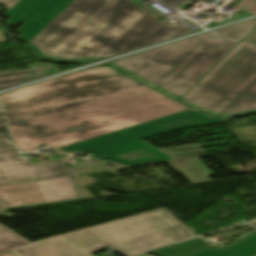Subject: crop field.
<instances>
[{"instance_id":"crop-field-1","label":"crop field","mask_w":256,"mask_h":256,"mask_svg":"<svg viewBox=\"0 0 256 256\" xmlns=\"http://www.w3.org/2000/svg\"><path fill=\"white\" fill-rule=\"evenodd\" d=\"M20 151L41 144L131 166L177 161L140 141L224 122L175 102L109 67H94L0 95Z\"/></svg>"},{"instance_id":"crop-field-14","label":"crop field","mask_w":256,"mask_h":256,"mask_svg":"<svg viewBox=\"0 0 256 256\" xmlns=\"http://www.w3.org/2000/svg\"><path fill=\"white\" fill-rule=\"evenodd\" d=\"M200 147H202L201 144H198V145L163 149L162 151H164L180 160H185V159L204 157L202 149H200ZM183 155H186V157H183Z\"/></svg>"},{"instance_id":"crop-field-22","label":"crop field","mask_w":256,"mask_h":256,"mask_svg":"<svg viewBox=\"0 0 256 256\" xmlns=\"http://www.w3.org/2000/svg\"><path fill=\"white\" fill-rule=\"evenodd\" d=\"M0 256H15V255H13V254L7 252V253H4V254H2V255H0Z\"/></svg>"},{"instance_id":"crop-field-19","label":"crop field","mask_w":256,"mask_h":256,"mask_svg":"<svg viewBox=\"0 0 256 256\" xmlns=\"http://www.w3.org/2000/svg\"><path fill=\"white\" fill-rule=\"evenodd\" d=\"M18 0H0V3L4 5L5 8L9 9L13 6Z\"/></svg>"},{"instance_id":"crop-field-2","label":"crop field","mask_w":256,"mask_h":256,"mask_svg":"<svg viewBox=\"0 0 256 256\" xmlns=\"http://www.w3.org/2000/svg\"><path fill=\"white\" fill-rule=\"evenodd\" d=\"M137 7L128 0H73L30 42L47 56L105 58L191 32Z\"/></svg>"},{"instance_id":"crop-field-20","label":"crop field","mask_w":256,"mask_h":256,"mask_svg":"<svg viewBox=\"0 0 256 256\" xmlns=\"http://www.w3.org/2000/svg\"><path fill=\"white\" fill-rule=\"evenodd\" d=\"M162 1H164L165 3L175 8L178 5H180L184 0H162Z\"/></svg>"},{"instance_id":"crop-field-10","label":"crop field","mask_w":256,"mask_h":256,"mask_svg":"<svg viewBox=\"0 0 256 256\" xmlns=\"http://www.w3.org/2000/svg\"><path fill=\"white\" fill-rule=\"evenodd\" d=\"M168 164L174 170L181 172L192 185L211 181L208 177L212 174L198 159L170 162Z\"/></svg>"},{"instance_id":"crop-field-8","label":"crop field","mask_w":256,"mask_h":256,"mask_svg":"<svg viewBox=\"0 0 256 256\" xmlns=\"http://www.w3.org/2000/svg\"><path fill=\"white\" fill-rule=\"evenodd\" d=\"M70 1L21 0L5 14L11 16L5 23L16 25L20 22H26L18 32L22 33L19 39L28 42Z\"/></svg>"},{"instance_id":"crop-field-11","label":"crop field","mask_w":256,"mask_h":256,"mask_svg":"<svg viewBox=\"0 0 256 256\" xmlns=\"http://www.w3.org/2000/svg\"><path fill=\"white\" fill-rule=\"evenodd\" d=\"M51 67L53 69L51 71L47 72V73H43L41 75L33 76V77H26V78H19V79H11V80L0 81V85L30 81V80H34V79H37V78H40V77L51 75V74H54V73H57V72H61V70L59 69V67L57 65L51 66ZM51 67L34 69V70H28V71H21V72H13V73L0 74V79L8 78V77H16V76H25V75L38 74L40 72L48 70ZM14 85H16V84H14ZM10 86H13V85L2 86V87H0V89L6 88V87H10Z\"/></svg>"},{"instance_id":"crop-field-16","label":"crop field","mask_w":256,"mask_h":256,"mask_svg":"<svg viewBox=\"0 0 256 256\" xmlns=\"http://www.w3.org/2000/svg\"><path fill=\"white\" fill-rule=\"evenodd\" d=\"M244 6L248 8H244ZM237 9L255 14L256 13V1L255 0H242L235 6Z\"/></svg>"},{"instance_id":"crop-field-24","label":"crop field","mask_w":256,"mask_h":256,"mask_svg":"<svg viewBox=\"0 0 256 256\" xmlns=\"http://www.w3.org/2000/svg\"><path fill=\"white\" fill-rule=\"evenodd\" d=\"M250 225H253V226H256V221L255 222H252V223H248Z\"/></svg>"},{"instance_id":"crop-field-12","label":"crop field","mask_w":256,"mask_h":256,"mask_svg":"<svg viewBox=\"0 0 256 256\" xmlns=\"http://www.w3.org/2000/svg\"><path fill=\"white\" fill-rule=\"evenodd\" d=\"M256 26V19L225 27L220 30L214 31L217 35L240 41L253 27Z\"/></svg>"},{"instance_id":"crop-field-13","label":"crop field","mask_w":256,"mask_h":256,"mask_svg":"<svg viewBox=\"0 0 256 256\" xmlns=\"http://www.w3.org/2000/svg\"><path fill=\"white\" fill-rule=\"evenodd\" d=\"M29 244L14 233L0 226V254Z\"/></svg>"},{"instance_id":"crop-field-3","label":"crop field","mask_w":256,"mask_h":256,"mask_svg":"<svg viewBox=\"0 0 256 256\" xmlns=\"http://www.w3.org/2000/svg\"><path fill=\"white\" fill-rule=\"evenodd\" d=\"M195 237L165 209H157L10 251L16 256H92L109 247L132 256L146 249Z\"/></svg>"},{"instance_id":"crop-field-5","label":"crop field","mask_w":256,"mask_h":256,"mask_svg":"<svg viewBox=\"0 0 256 256\" xmlns=\"http://www.w3.org/2000/svg\"><path fill=\"white\" fill-rule=\"evenodd\" d=\"M182 99L222 114L256 109V46L239 42Z\"/></svg>"},{"instance_id":"crop-field-9","label":"crop field","mask_w":256,"mask_h":256,"mask_svg":"<svg viewBox=\"0 0 256 256\" xmlns=\"http://www.w3.org/2000/svg\"><path fill=\"white\" fill-rule=\"evenodd\" d=\"M148 253L160 256H254L256 231L223 249L214 248L197 238Z\"/></svg>"},{"instance_id":"crop-field-18","label":"crop field","mask_w":256,"mask_h":256,"mask_svg":"<svg viewBox=\"0 0 256 256\" xmlns=\"http://www.w3.org/2000/svg\"><path fill=\"white\" fill-rule=\"evenodd\" d=\"M241 42L249 43L256 45V27L252 29L242 40Z\"/></svg>"},{"instance_id":"crop-field-25","label":"crop field","mask_w":256,"mask_h":256,"mask_svg":"<svg viewBox=\"0 0 256 256\" xmlns=\"http://www.w3.org/2000/svg\"><path fill=\"white\" fill-rule=\"evenodd\" d=\"M0 211H4L2 208H0Z\"/></svg>"},{"instance_id":"crop-field-15","label":"crop field","mask_w":256,"mask_h":256,"mask_svg":"<svg viewBox=\"0 0 256 256\" xmlns=\"http://www.w3.org/2000/svg\"><path fill=\"white\" fill-rule=\"evenodd\" d=\"M110 65H112V66H114V67H116V68H118V69H120V70H122V71H124V72H126V73H128V74H130V75H131L132 77H134L135 79H137V80H139V81H141V82H143V83H145V84H147V85H149V86H151V87H153V88H155V89H157V90L163 92L164 94H166V95H168V96H170V97H172V98H174V99H177V100H180V101H182V102H184V103H187V104H189V105H192V104H190V103H188V102H186V101H184V100H182V99H180V98H178V97H176V96H174V95L168 93L167 91H165V90H163V89H161V88H159V87H157V86H155V85H153V84L147 82L146 80H144V79H142V78H140V77H138V76H136V75H134V74H132V73H130V72H128V71H126V70H124V69H122V68H120V67L114 65V64H112V63H110ZM192 106H194V107H196V108H199V109H201V110H203V111H206V112H208V113L217 115V116H237V115H243V114H248V113L256 112V110H251V111H246V112H241V113H235V114H230V115H222V114L212 113V112H210V111H207V110L202 109V108H200V107H197V106H195V105H192Z\"/></svg>"},{"instance_id":"crop-field-6","label":"crop field","mask_w":256,"mask_h":256,"mask_svg":"<svg viewBox=\"0 0 256 256\" xmlns=\"http://www.w3.org/2000/svg\"><path fill=\"white\" fill-rule=\"evenodd\" d=\"M8 137L11 136L0 114V185L77 174L64 163L67 157L36 164H30L28 159L20 160L13 144L6 142Z\"/></svg>"},{"instance_id":"crop-field-23","label":"crop field","mask_w":256,"mask_h":256,"mask_svg":"<svg viewBox=\"0 0 256 256\" xmlns=\"http://www.w3.org/2000/svg\"><path fill=\"white\" fill-rule=\"evenodd\" d=\"M23 157H29L30 153L21 154Z\"/></svg>"},{"instance_id":"crop-field-7","label":"crop field","mask_w":256,"mask_h":256,"mask_svg":"<svg viewBox=\"0 0 256 256\" xmlns=\"http://www.w3.org/2000/svg\"><path fill=\"white\" fill-rule=\"evenodd\" d=\"M75 200L70 177L0 187V206L5 211Z\"/></svg>"},{"instance_id":"crop-field-21","label":"crop field","mask_w":256,"mask_h":256,"mask_svg":"<svg viewBox=\"0 0 256 256\" xmlns=\"http://www.w3.org/2000/svg\"><path fill=\"white\" fill-rule=\"evenodd\" d=\"M2 42H6V38H5L3 30L0 29V43H2Z\"/></svg>"},{"instance_id":"crop-field-17","label":"crop field","mask_w":256,"mask_h":256,"mask_svg":"<svg viewBox=\"0 0 256 256\" xmlns=\"http://www.w3.org/2000/svg\"><path fill=\"white\" fill-rule=\"evenodd\" d=\"M28 44L32 47L34 53L39 56V57H42V58H46V59H51V60H60V61H85V60H93V61H96L98 59H101V58H81V59H62V58H51V57H47V56H44L42 55L39 50L34 46L32 45L30 42H28Z\"/></svg>"},{"instance_id":"crop-field-4","label":"crop field","mask_w":256,"mask_h":256,"mask_svg":"<svg viewBox=\"0 0 256 256\" xmlns=\"http://www.w3.org/2000/svg\"><path fill=\"white\" fill-rule=\"evenodd\" d=\"M236 44L209 32L112 63L181 98Z\"/></svg>"}]
</instances>
